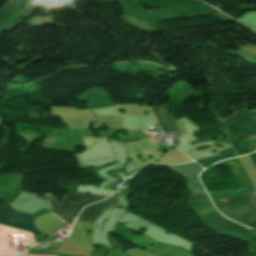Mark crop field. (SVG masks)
<instances>
[{
    "instance_id": "obj_3",
    "label": "crop field",
    "mask_w": 256,
    "mask_h": 256,
    "mask_svg": "<svg viewBox=\"0 0 256 256\" xmlns=\"http://www.w3.org/2000/svg\"><path fill=\"white\" fill-rule=\"evenodd\" d=\"M0 199L3 201L2 206L0 207V217L6 218L9 220L25 222V223H29V224L34 223L33 215L27 216V215H23L21 213L14 212L7 206V204L1 197H0ZM11 214H13V216L20 215V217H18V218L11 217ZM3 218H0V225L27 231V232H31V233H34L36 231L34 224L29 225V224H24V223H20V222H15V224H11L14 221H9V220L3 219ZM37 233L39 234V232H37Z\"/></svg>"
},
{
    "instance_id": "obj_6",
    "label": "crop field",
    "mask_w": 256,
    "mask_h": 256,
    "mask_svg": "<svg viewBox=\"0 0 256 256\" xmlns=\"http://www.w3.org/2000/svg\"><path fill=\"white\" fill-rule=\"evenodd\" d=\"M161 109H162V111L154 112V114L159 122V125L164 129L165 132H172V131L178 130V128L174 124V122L168 112L166 105L163 104L161 106ZM156 118H155V121H156ZM156 123H157V121H156Z\"/></svg>"
},
{
    "instance_id": "obj_5",
    "label": "crop field",
    "mask_w": 256,
    "mask_h": 256,
    "mask_svg": "<svg viewBox=\"0 0 256 256\" xmlns=\"http://www.w3.org/2000/svg\"><path fill=\"white\" fill-rule=\"evenodd\" d=\"M119 197L120 196L111 197L105 201L84 208L79 219L87 218V222L94 223L102 211L118 202Z\"/></svg>"
},
{
    "instance_id": "obj_1",
    "label": "crop field",
    "mask_w": 256,
    "mask_h": 256,
    "mask_svg": "<svg viewBox=\"0 0 256 256\" xmlns=\"http://www.w3.org/2000/svg\"><path fill=\"white\" fill-rule=\"evenodd\" d=\"M237 155L251 153L256 149V136L242 123L237 112L222 120Z\"/></svg>"
},
{
    "instance_id": "obj_7",
    "label": "crop field",
    "mask_w": 256,
    "mask_h": 256,
    "mask_svg": "<svg viewBox=\"0 0 256 256\" xmlns=\"http://www.w3.org/2000/svg\"><path fill=\"white\" fill-rule=\"evenodd\" d=\"M91 112V111H90ZM92 113V112H91ZM93 114V113H92Z\"/></svg>"
},
{
    "instance_id": "obj_4",
    "label": "crop field",
    "mask_w": 256,
    "mask_h": 256,
    "mask_svg": "<svg viewBox=\"0 0 256 256\" xmlns=\"http://www.w3.org/2000/svg\"><path fill=\"white\" fill-rule=\"evenodd\" d=\"M169 168L187 179V184L191 193H205L197 179V176L202 171V168L196 163L169 166Z\"/></svg>"
},
{
    "instance_id": "obj_2",
    "label": "crop field",
    "mask_w": 256,
    "mask_h": 256,
    "mask_svg": "<svg viewBox=\"0 0 256 256\" xmlns=\"http://www.w3.org/2000/svg\"><path fill=\"white\" fill-rule=\"evenodd\" d=\"M91 196H94L93 194L90 195H81L80 193H71L69 195H67L66 197H64L62 205H60V203L58 202V200L54 197H49L50 201L52 203V213L58 217H60L62 220L65 221L66 217L68 216L69 212L71 211L72 207L81 199H87ZM105 198L104 196H94L92 198H89L87 200H81L80 202H78L72 209V211L70 212L69 216L66 219V223L71 226L72 221L74 219V217H77L79 211L86 205L96 202L98 200H101ZM75 221V219H74ZM73 221V223H74ZM73 225V224H72ZM72 227V226H71Z\"/></svg>"
},
{
    "instance_id": "obj_8",
    "label": "crop field",
    "mask_w": 256,
    "mask_h": 256,
    "mask_svg": "<svg viewBox=\"0 0 256 256\" xmlns=\"http://www.w3.org/2000/svg\"><path fill=\"white\" fill-rule=\"evenodd\" d=\"M119 192H120V191H119ZM119 192H118V193H119Z\"/></svg>"
}]
</instances>
